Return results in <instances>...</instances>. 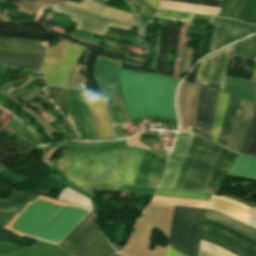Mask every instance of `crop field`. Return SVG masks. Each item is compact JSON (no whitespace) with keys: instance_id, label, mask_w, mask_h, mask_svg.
<instances>
[{"instance_id":"8a807250","label":"crop field","mask_w":256,"mask_h":256,"mask_svg":"<svg viewBox=\"0 0 256 256\" xmlns=\"http://www.w3.org/2000/svg\"><path fill=\"white\" fill-rule=\"evenodd\" d=\"M87 211L39 195L33 203L28 202L7 229L55 244ZM56 244L73 256H111L116 253L100 232L91 210Z\"/></svg>"},{"instance_id":"ac0d7876","label":"crop field","mask_w":256,"mask_h":256,"mask_svg":"<svg viewBox=\"0 0 256 256\" xmlns=\"http://www.w3.org/2000/svg\"><path fill=\"white\" fill-rule=\"evenodd\" d=\"M143 151L136 148L99 152L63 150L55 166L76 187L118 191L120 184H133Z\"/></svg>"},{"instance_id":"34b2d1b8","label":"crop field","mask_w":256,"mask_h":256,"mask_svg":"<svg viewBox=\"0 0 256 256\" xmlns=\"http://www.w3.org/2000/svg\"><path fill=\"white\" fill-rule=\"evenodd\" d=\"M211 199L227 202L233 206H236V207L256 216V210L251 209V208H249L239 202L231 200L229 198H225V197H221V196L212 194ZM213 200L210 201L208 208L217 210V211L227 214V215H230V216L256 228V217L255 216H253L249 213H246L236 207H233L227 203L213 201ZM217 211L207 209L205 218L216 221L221 224H224L231 228H234V229H236V230H238L256 240V229H254V228H252V227H250V226H248L230 216L221 214ZM206 219L204 221V226H203L204 228L216 231L220 234L230 237V238L256 250V241L255 240H253V239L249 238L248 236H246L236 230H233L229 227H226L224 225H221V224H218L216 222L209 221ZM204 228L202 231V237H201L202 240L208 241V242H210V243H212V244H214V245H216V246H218L236 256H256L255 251H253V250H251V249H249V248H247V247H245V246H243V245H241L223 235H220L216 232H213V231H210V230H207ZM202 240L200 242L199 248L203 252H205L211 256H234V255H232V254H230V253H228V252H226L208 242L202 241Z\"/></svg>"},{"instance_id":"412701ff","label":"crop field","mask_w":256,"mask_h":256,"mask_svg":"<svg viewBox=\"0 0 256 256\" xmlns=\"http://www.w3.org/2000/svg\"><path fill=\"white\" fill-rule=\"evenodd\" d=\"M126 108L132 119L160 116L175 120L173 99L177 79L118 68Z\"/></svg>"},{"instance_id":"f4fd0767","label":"crop field","mask_w":256,"mask_h":256,"mask_svg":"<svg viewBox=\"0 0 256 256\" xmlns=\"http://www.w3.org/2000/svg\"><path fill=\"white\" fill-rule=\"evenodd\" d=\"M221 149L195 135L174 188L203 191Z\"/></svg>"},{"instance_id":"dd49c442","label":"crop field","mask_w":256,"mask_h":256,"mask_svg":"<svg viewBox=\"0 0 256 256\" xmlns=\"http://www.w3.org/2000/svg\"><path fill=\"white\" fill-rule=\"evenodd\" d=\"M205 209L175 206L168 240L169 247L184 256H196ZM197 256H207L200 249Z\"/></svg>"},{"instance_id":"e52e79f7","label":"crop field","mask_w":256,"mask_h":256,"mask_svg":"<svg viewBox=\"0 0 256 256\" xmlns=\"http://www.w3.org/2000/svg\"><path fill=\"white\" fill-rule=\"evenodd\" d=\"M68 42H69L68 40L61 38V40L59 41V43L56 45L54 49L48 48L45 61L40 71L41 75L45 76L52 58L59 59V60L62 59ZM80 47H81L80 45L70 41L62 61L55 60V59L52 60L50 67L48 69V72L45 76L47 83L57 87L66 86L71 65ZM85 50H86L85 48L81 47L72 65V69H71L66 87L79 88L80 74H76V70H77L78 60Z\"/></svg>"},{"instance_id":"d8731c3e","label":"crop field","mask_w":256,"mask_h":256,"mask_svg":"<svg viewBox=\"0 0 256 256\" xmlns=\"http://www.w3.org/2000/svg\"><path fill=\"white\" fill-rule=\"evenodd\" d=\"M121 60L99 56L96 63L95 77L108 100L107 108L114 126L134 124L123 103L118 83L117 67Z\"/></svg>"},{"instance_id":"5a996713","label":"crop field","mask_w":256,"mask_h":256,"mask_svg":"<svg viewBox=\"0 0 256 256\" xmlns=\"http://www.w3.org/2000/svg\"><path fill=\"white\" fill-rule=\"evenodd\" d=\"M226 96H227L226 93L219 91L215 119H214V123L211 129V135H210V138L214 140H217V137H218V133H219L222 117H223V112L225 108ZM241 101H242L241 99L228 94L222 126L220 130L219 138L217 141L223 145H226L230 131L235 122Z\"/></svg>"},{"instance_id":"3316defc","label":"crop field","mask_w":256,"mask_h":256,"mask_svg":"<svg viewBox=\"0 0 256 256\" xmlns=\"http://www.w3.org/2000/svg\"><path fill=\"white\" fill-rule=\"evenodd\" d=\"M210 17L209 23L216 26L217 31L215 33L212 51L231 43L235 40H238L244 36H248L249 34L256 31V26L247 25L235 21L223 20ZM213 21V23H212ZM216 30V29H215ZM212 46V44H211ZM211 50V48H210Z\"/></svg>"},{"instance_id":"28ad6ade","label":"crop field","mask_w":256,"mask_h":256,"mask_svg":"<svg viewBox=\"0 0 256 256\" xmlns=\"http://www.w3.org/2000/svg\"><path fill=\"white\" fill-rule=\"evenodd\" d=\"M232 46H233V44L203 59L199 81L201 80L204 63L209 60H211V63L208 62L205 64L201 83H198V84L215 87L219 90H222L224 75H225V72H226V69H227V66L229 63V62H226L228 54L215 60L211 76H207L209 63H210V68H209L208 75H210V73H211L213 61L215 58L229 52V57H228L227 61L230 60Z\"/></svg>"},{"instance_id":"d1516ede","label":"crop field","mask_w":256,"mask_h":256,"mask_svg":"<svg viewBox=\"0 0 256 256\" xmlns=\"http://www.w3.org/2000/svg\"><path fill=\"white\" fill-rule=\"evenodd\" d=\"M194 135L179 133L174 150L171 153V160L167 165L166 171L162 178L161 187L173 188L176 182L181 165L187 153ZM160 187V186H159Z\"/></svg>"},{"instance_id":"22f410ed","label":"crop field","mask_w":256,"mask_h":256,"mask_svg":"<svg viewBox=\"0 0 256 256\" xmlns=\"http://www.w3.org/2000/svg\"><path fill=\"white\" fill-rule=\"evenodd\" d=\"M54 12L71 15L72 22H77L76 29L83 30L89 33L103 36L109 29V27L119 28L124 30H132L131 27L92 17L86 14H82L76 11H70L66 9L54 8Z\"/></svg>"},{"instance_id":"cbeb9de0","label":"crop field","mask_w":256,"mask_h":256,"mask_svg":"<svg viewBox=\"0 0 256 256\" xmlns=\"http://www.w3.org/2000/svg\"><path fill=\"white\" fill-rule=\"evenodd\" d=\"M62 6L95 13L103 17L134 25L133 15L131 13L121 11L96 0H82L79 4L64 0Z\"/></svg>"},{"instance_id":"5142ce71","label":"crop field","mask_w":256,"mask_h":256,"mask_svg":"<svg viewBox=\"0 0 256 256\" xmlns=\"http://www.w3.org/2000/svg\"><path fill=\"white\" fill-rule=\"evenodd\" d=\"M218 91L200 87L195 121L201 122L200 133L208 136L214 115Z\"/></svg>"},{"instance_id":"d9b57169","label":"crop field","mask_w":256,"mask_h":256,"mask_svg":"<svg viewBox=\"0 0 256 256\" xmlns=\"http://www.w3.org/2000/svg\"><path fill=\"white\" fill-rule=\"evenodd\" d=\"M155 159H156V156L152 155L147 151H144L143 158H142L140 167L136 173L133 185H140V186L148 185L151 169L155 162ZM165 162H166L165 160L159 157L157 158L152 169L148 186L157 187Z\"/></svg>"},{"instance_id":"733c2abd","label":"crop field","mask_w":256,"mask_h":256,"mask_svg":"<svg viewBox=\"0 0 256 256\" xmlns=\"http://www.w3.org/2000/svg\"><path fill=\"white\" fill-rule=\"evenodd\" d=\"M219 16L256 24V0H227Z\"/></svg>"},{"instance_id":"4a817a6b","label":"crop field","mask_w":256,"mask_h":256,"mask_svg":"<svg viewBox=\"0 0 256 256\" xmlns=\"http://www.w3.org/2000/svg\"><path fill=\"white\" fill-rule=\"evenodd\" d=\"M235 156L236 153L229 152L224 148L222 149L219 158L213 167L209 182L204 192L219 195L225 176Z\"/></svg>"},{"instance_id":"bc2a9ffb","label":"crop field","mask_w":256,"mask_h":256,"mask_svg":"<svg viewBox=\"0 0 256 256\" xmlns=\"http://www.w3.org/2000/svg\"><path fill=\"white\" fill-rule=\"evenodd\" d=\"M254 107H255L254 104L245 100L242 101V104L237 116V120L235 122L234 128L228 140V143L226 145V147H228L229 149L238 151L243 141V137L247 129V126L249 124L250 118L252 116Z\"/></svg>"},{"instance_id":"214f88e0","label":"crop field","mask_w":256,"mask_h":256,"mask_svg":"<svg viewBox=\"0 0 256 256\" xmlns=\"http://www.w3.org/2000/svg\"><path fill=\"white\" fill-rule=\"evenodd\" d=\"M86 97L96 126L98 138H115L111 123L106 115L105 106L100 101L92 98L88 93H86Z\"/></svg>"},{"instance_id":"92a150f3","label":"crop field","mask_w":256,"mask_h":256,"mask_svg":"<svg viewBox=\"0 0 256 256\" xmlns=\"http://www.w3.org/2000/svg\"><path fill=\"white\" fill-rule=\"evenodd\" d=\"M0 50L44 56L46 46L35 40L0 37Z\"/></svg>"},{"instance_id":"dafd665d","label":"crop field","mask_w":256,"mask_h":256,"mask_svg":"<svg viewBox=\"0 0 256 256\" xmlns=\"http://www.w3.org/2000/svg\"><path fill=\"white\" fill-rule=\"evenodd\" d=\"M43 57L0 51V64L39 71Z\"/></svg>"},{"instance_id":"00972430","label":"crop field","mask_w":256,"mask_h":256,"mask_svg":"<svg viewBox=\"0 0 256 256\" xmlns=\"http://www.w3.org/2000/svg\"><path fill=\"white\" fill-rule=\"evenodd\" d=\"M223 90L256 103V82L225 77Z\"/></svg>"},{"instance_id":"a9b5d70f","label":"crop field","mask_w":256,"mask_h":256,"mask_svg":"<svg viewBox=\"0 0 256 256\" xmlns=\"http://www.w3.org/2000/svg\"><path fill=\"white\" fill-rule=\"evenodd\" d=\"M227 175L256 179V158L237 154Z\"/></svg>"},{"instance_id":"4177f3b9","label":"crop field","mask_w":256,"mask_h":256,"mask_svg":"<svg viewBox=\"0 0 256 256\" xmlns=\"http://www.w3.org/2000/svg\"><path fill=\"white\" fill-rule=\"evenodd\" d=\"M38 195L13 191L7 199H0V210L20 213L28 201L33 202Z\"/></svg>"},{"instance_id":"730fd06b","label":"crop field","mask_w":256,"mask_h":256,"mask_svg":"<svg viewBox=\"0 0 256 256\" xmlns=\"http://www.w3.org/2000/svg\"><path fill=\"white\" fill-rule=\"evenodd\" d=\"M134 11L138 27H146L155 14L150 6L142 0H127Z\"/></svg>"},{"instance_id":"eef30255","label":"crop field","mask_w":256,"mask_h":256,"mask_svg":"<svg viewBox=\"0 0 256 256\" xmlns=\"http://www.w3.org/2000/svg\"><path fill=\"white\" fill-rule=\"evenodd\" d=\"M161 8L218 15L220 9L161 0Z\"/></svg>"},{"instance_id":"ae1a2a85","label":"crop field","mask_w":256,"mask_h":256,"mask_svg":"<svg viewBox=\"0 0 256 256\" xmlns=\"http://www.w3.org/2000/svg\"><path fill=\"white\" fill-rule=\"evenodd\" d=\"M239 152L256 157V107Z\"/></svg>"},{"instance_id":"d3111659","label":"crop field","mask_w":256,"mask_h":256,"mask_svg":"<svg viewBox=\"0 0 256 256\" xmlns=\"http://www.w3.org/2000/svg\"><path fill=\"white\" fill-rule=\"evenodd\" d=\"M152 203L163 204V205H179V206H187V207H201L206 209L209 202L200 201V200L155 196Z\"/></svg>"},{"instance_id":"750c4746","label":"crop field","mask_w":256,"mask_h":256,"mask_svg":"<svg viewBox=\"0 0 256 256\" xmlns=\"http://www.w3.org/2000/svg\"><path fill=\"white\" fill-rule=\"evenodd\" d=\"M233 55L244 56L253 60L256 57V36L237 43Z\"/></svg>"},{"instance_id":"bd1437ed","label":"crop field","mask_w":256,"mask_h":256,"mask_svg":"<svg viewBox=\"0 0 256 256\" xmlns=\"http://www.w3.org/2000/svg\"><path fill=\"white\" fill-rule=\"evenodd\" d=\"M156 195L160 196H170V197H181V198H193L202 199L209 201L210 194L199 193V192H188V191H176V190H164L158 189Z\"/></svg>"},{"instance_id":"1d83c4d3","label":"crop field","mask_w":256,"mask_h":256,"mask_svg":"<svg viewBox=\"0 0 256 256\" xmlns=\"http://www.w3.org/2000/svg\"><path fill=\"white\" fill-rule=\"evenodd\" d=\"M58 199L65 201V202H69V203L82 205V206L91 208L90 201L87 198L81 196L80 194L74 192L73 190L69 189L66 186L63 189V191L61 192Z\"/></svg>"},{"instance_id":"120bbe31","label":"crop field","mask_w":256,"mask_h":256,"mask_svg":"<svg viewBox=\"0 0 256 256\" xmlns=\"http://www.w3.org/2000/svg\"><path fill=\"white\" fill-rule=\"evenodd\" d=\"M194 15L191 14H185V13H178V12H172V11H166L161 10L158 17L160 18H167V19H175V20H182V21H188L192 20Z\"/></svg>"},{"instance_id":"d32e631a","label":"crop field","mask_w":256,"mask_h":256,"mask_svg":"<svg viewBox=\"0 0 256 256\" xmlns=\"http://www.w3.org/2000/svg\"><path fill=\"white\" fill-rule=\"evenodd\" d=\"M63 91L64 89L62 88H51V87L46 88V92L57 104V106L61 111L63 109Z\"/></svg>"},{"instance_id":"5866460e","label":"crop field","mask_w":256,"mask_h":256,"mask_svg":"<svg viewBox=\"0 0 256 256\" xmlns=\"http://www.w3.org/2000/svg\"><path fill=\"white\" fill-rule=\"evenodd\" d=\"M0 240L26 244L21 237L3 228H0Z\"/></svg>"},{"instance_id":"028f5c9d","label":"crop field","mask_w":256,"mask_h":256,"mask_svg":"<svg viewBox=\"0 0 256 256\" xmlns=\"http://www.w3.org/2000/svg\"><path fill=\"white\" fill-rule=\"evenodd\" d=\"M171 1L205 5V6L218 7V8H221L222 2H223L220 0H171Z\"/></svg>"},{"instance_id":"e1f06a70","label":"crop field","mask_w":256,"mask_h":256,"mask_svg":"<svg viewBox=\"0 0 256 256\" xmlns=\"http://www.w3.org/2000/svg\"><path fill=\"white\" fill-rule=\"evenodd\" d=\"M51 124L57 126L63 133L69 136L77 137L75 132H73L70 128H68L64 123L60 122L59 120L56 119Z\"/></svg>"},{"instance_id":"0bd39190","label":"crop field","mask_w":256,"mask_h":256,"mask_svg":"<svg viewBox=\"0 0 256 256\" xmlns=\"http://www.w3.org/2000/svg\"><path fill=\"white\" fill-rule=\"evenodd\" d=\"M143 1H145L147 4L154 7L155 9H158L159 0H143Z\"/></svg>"},{"instance_id":"b80d0937","label":"crop field","mask_w":256,"mask_h":256,"mask_svg":"<svg viewBox=\"0 0 256 256\" xmlns=\"http://www.w3.org/2000/svg\"><path fill=\"white\" fill-rule=\"evenodd\" d=\"M116 132L117 138L125 137V133L123 131V128H114Z\"/></svg>"},{"instance_id":"c035e120","label":"crop field","mask_w":256,"mask_h":256,"mask_svg":"<svg viewBox=\"0 0 256 256\" xmlns=\"http://www.w3.org/2000/svg\"><path fill=\"white\" fill-rule=\"evenodd\" d=\"M201 61H202V60H201ZM200 66H201V62H200V65H199V69H198V73H197V77H196V81H195V83H196V84H197V82H198V77H199Z\"/></svg>"},{"instance_id":"c21b1889","label":"crop field","mask_w":256,"mask_h":256,"mask_svg":"<svg viewBox=\"0 0 256 256\" xmlns=\"http://www.w3.org/2000/svg\"><path fill=\"white\" fill-rule=\"evenodd\" d=\"M251 80L256 81V68H255V71H254V74H253V76H252V79H251Z\"/></svg>"},{"instance_id":"03da06ac","label":"crop field","mask_w":256,"mask_h":256,"mask_svg":"<svg viewBox=\"0 0 256 256\" xmlns=\"http://www.w3.org/2000/svg\"><path fill=\"white\" fill-rule=\"evenodd\" d=\"M3 168L2 166H0V169Z\"/></svg>"},{"instance_id":"b54c1fbb","label":"crop field","mask_w":256,"mask_h":256,"mask_svg":"<svg viewBox=\"0 0 256 256\" xmlns=\"http://www.w3.org/2000/svg\"><path fill=\"white\" fill-rule=\"evenodd\" d=\"M254 61H256V58L254 59Z\"/></svg>"},{"instance_id":"5d738f31","label":"crop field","mask_w":256,"mask_h":256,"mask_svg":"<svg viewBox=\"0 0 256 256\" xmlns=\"http://www.w3.org/2000/svg\"><path fill=\"white\" fill-rule=\"evenodd\" d=\"M113 256H118V255H113Z\"/></svg>"}]
</instances>
